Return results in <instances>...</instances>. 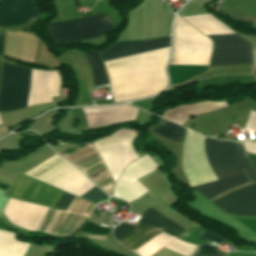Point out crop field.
Segmentation results:
<instances>
[{"label": "crop field", "mask_w": 256, "mask_h": 256, "mask_svg": "<svg viewBox=\"0 0 256 256\" xmlns=\"http://www.w3.org/2000/svg\"><path fill=\"white\" fill-rule=\"evenodd\" d=\"M170 37L118 42L101 54L103 62L169 47ZM169 48L104 63L114 101L155 95L164 89Z\"/></svg>", "instance_id": "1"}, {"label": "crop field", "mask_w": 256, "mask_h": 256, "mask_svg": "<svg viewBox=\"0 0 256 256\" xmlns=\"http://www.w3.org/2000/svg\"><path fill=\"white\" fill-rule=\"evenodd\" d=\"M235 154L252 184L256 173L244 151L234 142ZM233 151V142L205 138V152L216 179L244 173ZM204 153V137L188 130L183 147V168L192 186L215 180Z\"/></svg>", "instance_id": "2"}, {"label": "crop field", "mask_w": 256, "mask_h": 256, "mask_svg": "<svg viewBox=\"0 0 256 256\" xmlns=\"http://www.w3.org/2000/svg\"><path fill=\"white\" fill-rule=\"evenodd\" d=\"M31 69L2 63L0 112L27 107Z\"/></svg>", "instance_id": "3"}, {"label": "crop field", "mask_w": 256, "mask_h": 256, "mask_svg": "<svg viewBox=\"0 0 256 256\" xmlns=\"http://www.w3.org/2000/svg\"><path fill=\"white\" fill-rule=\"evenodd\" d=\"M62 191L20 174L7 196L53 207ZM73 196L62 192L54 207L67 210Z\"/></svg>", "instance_id": "4"}, {"label": "crop field", "mask_w": 256, "mask_h": 256, "mask_svg": "<svg viewBox=\"0 0 256 256\" xmlns=\"http://www.w3.org/2000/svg\"><path fill=\"white\" fill-rule=\"evenodd\" d=\"M113 26L105 13H102L82 19L50 24L48 32L56 43H60L102 35Z\"/></svg>", "instance_id": "5"}, {"label": "crop field", "mask_w": 256, "mask_h": 256, "mask_svg": "<svg viewBox=\"0 0 256 256\" xmlns=\"http://www.w3.org/2000/svg\"><path fill=\"white\" fill-rule=\"evenodd\" d=\"M214 42L210 66L252 63L251 44L238 35H206Z\"/></svg>", "instance_id": "6"}, {"label": "crop field", "mask_w": 256, "mask_h": 256, "mask_svg": "<svg viewBox=\"0 0 256 256\" xmlns=\"http://www.w3.org/2000/svg\"><path fill=\"white\" fill-rule=\"evenodd\" d=\"M156 167L147 155L127 166L117 180L113 196L124 199L127 202L138 199L148 191L136 180L156 170Z\"/></svg>", "instance_id": "7"}, {"label": "crop field", "mask_w": 256, "mask_h": 256, "mask_svg": "<svg viewBox=\"0 0 256 256\" xmlns=\"http://www.w3.org/2000/svg\"><path fill=\"white\" fill-rule=\"evenodd\" d=\"M37 17L33 0H0V28L28 24Z\"/></svg>", "instance_id": "8"}, {"label": "crop field", "mask_w": 256, "mask_h": 256, "mask_svg": "<svg viewBox=\"0 0 256 256\" xmlns=\"http://www.w3.org/2000/svg\"><path fill=\"white\" fill-rule=\"evenodd\" d=\"M212 203L231 215L256 216V184L236 190Z\"/></svg>", "instance_id": "9"}, {"label": "crop field", "mask_w": 256, "mask_h": 256, "mask_svg": "<svg viewBox=\"0 0 256 256\" xmlns=\"http://www.w3.org/2000/svg\"><path fill=\"white\" fill-rule=\"evenodd\" d=\"M82 109L86 116L88 128L134 120L138 111L127 104Z\"/></svg>", "instance_id": "10"}, {"label": "crop field", "mask_w": 256, "mask_h": 256, "mask_svg": "<svg viewBox=\"0 0 256 256\" xmlns=\"http://www.w3.org/2000/svg\"><path fill=\"white\" fill-rule=\"evenodd\" d=\"M247 185H251V182L244 173L222 180L213 181L207 184L195 186L192 188L202 193L212 202L231 191H234Z\"/></svg>", "instance_id": "11"}, {"label": "crop field", "mask_w": 256, "mask_h": 256, "mask_svg": "<svg viewBox=\"0 0 256 256\" xmlns=\"http://www.w3.org/2000/svg\"><path fill=\"white\" fill-rule=\"evenodd\" d=\"M161 231V229L140 224L118 242L120 245L133 252L147 241L152 239L154 236L159 234Z\"/></svg>", "instance_id": "12"}, {"label": "crop field", "mask_w": 256, "mask_h": 256, "mask_svg": "<svg viewBox=\"0 0 256 256\" xmlns=\"http://www.w3.org/2000/svg\"><path fill=\"white\" fill-rule=\"evenodd\" d=\"M141 216L143 217L139 221L140 223L167 229L177 235L185 231L151 207L144 211Z\"/></svg>", "instance_id": "13"}, {"label": "crop field", "mask_w": 256, "mask_h": 256, "mask_svg": "<svg viewBox=\"0 0 256 256\" xmlns=\"http://www.w3.org/2000/svg\"><path fill=\"white\" fill-rule=\"evenodd\" d=\"M185 130V128L163 119L161 124L152 131L174 141L180 142L182 141Z\"/></svg>", "instance_id": "14"}, {"label": "crop field", "mask_w": 256, "mask_h": 256, "mask_svg": "<svg viewBox=\"0 0 256 256\" xmlns=\"http://www.w3.org/2000/svg\"><path fill=\"white\" fill-rule=\"evenodd\" d=\"M93 70L95 85L107 83L104 66L98 53L84 52Z\"/></svg>", "instance_id": "15"}, {"label": "crop field", "mask_w": 256, "mask_h": 256, "mask_svg": "<svg viewBox=\"0 0 256 256\" xmlns=\"http://www.w3.org/2000/svg\"><path fill=\"white\" fill-rule=\"evenodd\" d=\"M165 248L170 249L172 251H175V252L180 253L185 256H190L191 254H193V252L196 248V245L184 243L181 240L176 238L171 243H169L167 246H165Z\"/></svg>", "instance_id": "16"}, {"label": "crop field", "mask_w": 256, "mask_h": 256, "mask_svg": "<svg viewBox=\"0 0 256 256\" xmlns=\"http://www.w3.org/2000/svg\"><path fill=\"white\" fill-rule=\"evenodd\" d=\"M192 256H226L225 252H219L216 247L211 245H199Z\"/></svg>", "instance_id": "17"}, {"label": "crop field", "mask_w": 256, "mask_h": 256, "mask_svg": "<svg viewBox=\"0 0 256 256\" xmlns=\"http://www.w3.org/2000/svg\"><path fill=\"white\" fill-rule=\"evenodd\" d=\"M105 194H103L96 186L93 187L91 190L83 194L80 198L92 201L94 203L98 202L102 198H104Z\"/></svg>", "instance_id": "18"}, {"label": "crop field", "mask_w": 256, "mask_h": 256, "mask_svg": "<svg viewBox=\"0 0 256 256\" xmlns=\"http://www.w3.org/2000/svg\"><path fill=\"white\" fill-rule=\"evenodd\" d=\"M126 223H121L118 227L114 228L113 235L116 241L121 239L124 235H126L129 231H131L134 227H136L133 225H128L129 223L128 224Z\"/></svg>", "instance_id": "19"}, {"label": "crop field", "mask_w": 256, "mask_h": 256, "mask_svg": "<svg viewBox=\"0 0 256 256\" xmlns=\"http://www.w3.org/2000/svg\"><path fill=\"white\" fill-rule=\"evenodd\" d=\"M198 238H201V239H204V240H207V241H211V242H215L219 245L224 242L223 238H221L219 236L212 235V234L207 233L205 231H203Z\"/></svg>", "instance_id": "20"}, {"label": "crop field", "mask_w": 256, "mask_h": 256, "mask_svg": "<svg viewBox=\"0 0 256 256\" xmlns=\"http://www.w3.org/2000/svg\"><path fill=\"white\" fill-rule=\"evenodd\" d=\"M249 158L251 159L254 167L256 168V155H253V154H250V153H247Z\"/></svg>", "instance_id": "21"}, {"label": "crop field", "mask_w": 256, "mask_h": 256, "mask_svg": "<svg viewBox=\"0 0 256 256\" xmlns=\"http://www.w3.org/2000/svg\"><path fill=\"white\" fill-rule=\"evenodd\" d=\"M3 32L0 33V54L2 53Z\"/></svg>", "instance_id": "22"}]
</instances>
